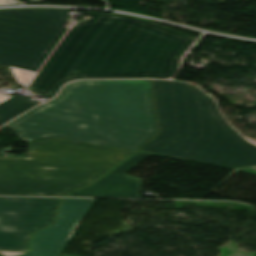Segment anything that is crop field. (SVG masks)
I'll use <instances>...</instances> for the list:
<instances>
[{
	"instance_id": "obj_1",
	"label": "crop field",
	"mask_w": 256,
	"mask_h": 256,
	"mask_svg": "<svg viewBox=\"0 0 256 256\" xmlns=\"http://www.w3.org/2000/svg\"><path fill=\"white\" fill-rule=\"evenodd\" d=\"M7 126L24 142L64 137L134 151L157 133L149 80L73 82Z\"/></svg>"
},
{
	"instance_id": "obj_2",
	"label": "crop field",
	"mask_w": 256,
	"mask_h": 256,
	"mask_svg": "<svg viewBox=\"0 0 256 256\" xmlns=\"http://www.w3.org/2000/svg\"><path fill=\"white\" fill-rule=\"evenodd\" d=\"M29 87L51 99L63 83L82 78H170L188 47L125 27L119 14L85 11Z\"/></svg>"
},
{
	"instance_id": "obj_3",
	"label": "crop field",
	"mask_w": 256,
	"mask_h": 256,
	"mask_svg": "<svg viewBox=\"0 0 256 256\" xmlns=\"http://www.w3.org/2000/svg\"><path fill=\"white\" fill-rule=\"evenodd\" d=\"M160 133L141 151L231 166L256 165V146L220 116L214 101L183 82L153 81Z\"/></svg>"
},
{
	"instance_id": "obj_4",
	"label": "crop field",
	"mask_w": 256,
	"mask_h": 256,
	"mask_svg": "<svg viewBox=\"0 0 256 256\" xmlns=\"http://www.w3.org/2000/svg\"><path fill=\"white\" fill-rule=\"evenodd\" d=\"M134 153L64 138L31 141L27 158L0 157V195L65 196Z\"/></svg>"
},
{
	"instance_id": "obj_5",
	"label": "crop field",
	"mask_w": 256,
	"mask_h": 256,
	"mask_svg": "<svg viewBox=\"0 0 256 256\" xmlns=\"http://www.w3.org/2000/svg\"><path fill=\"white\" fill-rule=\"evenodd\" d=\"M70 9L0 10V64L13 69L27 86L68 29Z\"/></svg>"
},
{
	"instance_id": "obj_6",
	"label": "crop field",
	"mask_w": 256,
	"mask_h": 256,
	"mask_svg": "<svg viewBox=\"0 0 256 256\" xmlns=\"http://www.w3.org/2000/svg\"><path fill=\"white\" fill-rule=\"evenodd\" d=\"M62 199L0 197V248L30 250L32 234L53 222Z\"/></svg>"
},
{
	"instance_id": "obj_7",
	"label": "crop field",
	"mask_w": 256,
	"mask_h": 256,
	"mask_svg": "<svg viewBox=\"0 0 256 256\" xmlns=\"http://www.w3.org/2000/svg\"><path fill=\"white\" fill-rule=\"evenodd\" d=\"M94 199H65L55 225L35 234L33 251L24 256H60Z\"/></svg>"
},
{
	"instance_id": "obj_8",
	"label": "crop field",
	"mask_w": 256,
	"mask_h": 256,
	"mask_svg": "<svg viewBox=\"0 0 256 256\" xmlns=\"http://www.w3.org/2000/svg\"><path fill=\"white\" fill-rule=\"evenodd\" d=\"M149 156L150 154L138 152L91 187L76 191L69 196L139 198L140 180L127 177L123 173Z\"/></svg>"
},
{
	"instance_id": "obj_9",
	"label": "crop field",
	"mask_w": 256,
	"mask_h": 256,
	"mask_svg": "<svg viewBox=\"0 0 256 256\" xmlns=\"http://www.w3.org/2000/svg\"><path fill=\"white\" fill-rule=\"evenodd\" d=\"M125 26L133 29H137L149 34H153L188 47L191 44V42L194 40L192 38L164 29L162 27L156 26L154 24H151L149 22H146L140 19L131 18Z\"/></svg>"
},
{
	"instance_id": "obj_10",
	"label": "crop field",
	"mask_w": 256,
	"mask_h": 256,
	"mask_svg": "<svg viewBox=\"0 0 256 256\" xmlns=\"http://www.w3.org/2000/svg\"><path fill=\"white\" fill-rule=\"evenodd\" d=\"M39 104L23 96H13L0 103V125Z\"/></svg>"
},
{
	"instance_id": "obj_11",
	"label": "crop field",
	"mask_w": 256,
	"mask_h": 256,
	"mask_svg": "<svg viewBox=\"0 0 256 256\" xmlns=\"http://www.w3.org/2000/svg\"><path fill=\"white\" fill-rule=\"evenodd\" d=\"M27 251H21V250H1L0 253L6 256H15L19 254L26 253Z\"/></svg>"
},
{
	"instance_id": "obj_12",
	"label": "crop field",
	"mask_w": 256,
	"mask_h": 256,
	"mask_svg": "<svg viewBox=\"0 0 256 256\" xmlns=\"http://www.w3.org/2000/svg\"><path fill=\"white\" fill-rule=\"evenodd\" d=\"M19 4L16 0H0V6Z\"/></svg>"
},
{
	"instance_id": "obj_13",
	"label": "crop field",
	"mask_w": 256,
	"mask_h": 256,
	"mask_svg": "<svg viewBox=\"0 0 256 256\" xmlns=\"http://www.w3.org/2000/svg\"><path fill=\"white\" fill-rule=\"evenodd\" d=\"M11 96H8V95H4V94H0V102L6 100L7 98H9Z\"/></svg>"
},
{
	"instance_id": "obj_14",
	"label": "crop field",
	"mask_w": 256,
	"mask_h": 256,
	"mask_svg": "<svg viewBox=\"0 0 256 256\" xmlns=\"http://www.w3.org/2000/svg\"><path fill=\"white\" fill-rule=\"evenodd\" d=\"M249 168L256 170V166H252V167H249Z\"/></svg>"
}]
</instances>
